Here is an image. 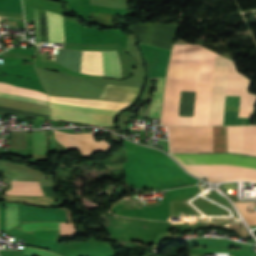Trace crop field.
I'll list each match as a JSON object with an SVG mask.
<instances>
[{
    "label": "crop field",
    "mask_w": 256,
    "mask_h": 256,
    "mask_svg": "<svg viewBox=\"0 0 256 256\" xmlns=\"http://www.w3.org/2000/svg\"><path fill=\"white\" fill-rule=\"evenodd\" d=\"M241 214L247 221L248 225H256V212H249V203L234 202ZM254 204V203H252Z\"/></svg>",
    "instance_id": "obj_13"
},
{
    "label": "crop field",
    "mask_w": 256,
    "mask_h": 256,
    "mask_svg": "<svg viewBox=\"0 0 256 256\" xmlns=\"http://www.w3.org/2000/svg\"><path fill=\"white\" fill-rule=\"evenodd\" d=\"M34 154H45V133L33 132Z\"/></svg>",
    "instance_id": "obj_14"
},
{
    "label": "crop field",
    "mask_w": 256,
    "mask_h": 256,
    "mask_svg": "<svg viewBox=\"0 0 256 256\" xmlns=\"http://www.w3.org/2000/svg\"><path fill=\"white\" fill-rule=\"evenodd\" d=\"M24 253L27 255H31V256H62L57 253L40 250V249H36V248H31V247H27V246H25V248H24Z\"/></svg>",
    "instance_id": "obj_19"
},
{
    "label": "crop field",
    "mask_w": 256,
    "mask_h": 256,
    "mask_svg": "<svg viewBox=\"0 0 256 256\" xmlns=\"http://www.w3.org/2000/svg\"><path fill=\"white\" fill-rule=\"evenodd\" d=\"M183 49H184V45H174L171 59H170L171 62L168 67V76H167L166 84L180 85L181 72H177V71H180L181 63H175L174 70H177V71H173V66H174V62H182ZM198 50H199V45H185L183 62L197 63ZM181 70H182V67H181ZM186 71H187V65L185 68L184 78H186ZM189 71H190V65L188 68L187 78H189ZM192 72H193V65L191 68V75H190L191 79H192ZM195 72H196V65L194 68L193 79H195ZM231 73H235V75H231ZM249 84H250V81L247 78L243 77L241 74H239L236 71L233 62L229 60L226 95H240V106L254 107L256 103V95L247 93ZM173 85H165V90L180 91V86H173ZM192 91H194V85H193ZM179 96H180V92L165 91L163 107L178 108ZM194 99H195V93L181 92L180 104H179V116H193ZM252 110L253 108L240 107L239 117H250L252 114ZM177 112H178V109L163 108L161 124L177 125ZM192 120H193V117H178V125H192Z\"/></svg>",
    "instance_id": "obj_1"
},
{
    "label": "crop field",
    "mask_w": 256,
    "mask_h": 256,
    "mask_svg": "<svg viewBox=\"0 0 256 256\" xmlns=\"http://www.w3.org/2000/svg\"><path fill=\"white\" fill-rule=\"evenodd\" d=\"M11 148L25 149V132H11Z\"/></svg>",
    "instance_id": "obj_16"
},
{
    "label": "crop field",
    "mask_w": 256,
    "mask_h": 256,
    "mask_svg": "<svg viewBox=\"0 0 256 256\" xmlns=\"http://www.w3.org/2000/svg\"><path fill=\"white\" fill-rule=\"evenodd\" d=\"M49 41L63 42L62 15L46 11Z\"/></svg>",
    "instance_id": "obj_9"
},
{
    "label": "crop field",
    "mask_w": 256,
    "mask_h": 256,
    "mask_svg": "<svg viewBox=\"0 0 256 256\" xmlns=\"http://www.w3.org/2000/svg\"><path fill=\"white\" fill-rule=\"evenodd\" d=\"M158 88L157 92L153 93L152 100H151V109H150V116L160 117V108H161V101L163 95V87L165 78H158Z\"/></svg>",
    "instance_id": "obj_12"
},
{
    "label": "crop field",
    "mask_w": 256,
    "mask_h": 256,
    "mask_svg": "<svg viewBox=\"0 0 256 256\" xmlns=\"http://www.w3.org/2000/svg\"><path fill=\"white\" fill-rule=\"evenodd\" d=\"M139 89L140 88L131 87V86L107 84L100 99L132 103ZM51 108L102 114V115H110V116H114V114L118 112L115 110L78 107V106H70V105H62V104H54V103H51ZM78 112L59 111V110L51 109V115L49 118L62 120V121L77 122L81 124L113 126L112 125L113 117L78 113Z\"/></svg>",
    "instance_id": "obj_4"
},
{
    "label": "crop field",
    "mask_w": 256,
    "mask_h": 256,
    "mask_svg": "<svg viewBox=\"0 0 256 256\" xmlns=\"http://www.w3.org/2000/svg\"><path fill=\"white\" fill-rule=\"evenodd\" d=\"M34 15H35V37L36 42L40 41V35H39V25H38V14L37 9L34 8Z\"/></svg>",
    "instance_id": "obj_20"
},
{
    "label": "crop field",
    "mask_w": 256,
    "mask_h": 256,
    "mask_svg": "<svg viewBox=\"0 0 256 256\" xmlns=\"http://www.w3.org/2000/svg\"><path fill=\"white\" fill-rule=\"evenodd\" d=\"M38 14H39L41 41H48L45 11L38 9Z\"/></svg>",
    "instance_id": "obj_18"
},
{
    "label": "crop field",
    "mask_w": 256,
    "mask_h": 256,
    "mask_svg": "<svg viewBox=\"0 0 256 256\" xmlns=\"http://www.w3.org/2000/svg\"><path fill=\"white\" fill-rule=\"evenodd\" d=\"M24 231L38 229H59L58 223H31L21 225Z\"/></svg>",
    "instance_id": "obj_17"
},
{
    "label": "crop field",
    "mask_w": 256,
    "mask_h": 256,
    "mask_svg": "<svg viewBox=\"0 0 256 256\" xmlns=\"http://www.w3.org/2000/svg\"><path fill=\"white\" fill-rule=\"evenodd\" d=\"M96 134H66L60 131H54L55 139L64 147L68 149H77L82 155H90L94 151H102L108 145V142L101 140L97 142L94 138Z\"/></svg>",
    "instance_id": "obj_6"
},
{
    "label": "crop field",
    "mask_w": 256,
    "mask_h": 256,
    "mask_svg": "<svg viewBox=\"0 0 256 256\" xmlns=\"http://www.w3.org/2000/svg\"><path fill=\"white\" fill-rule=\"evenodd\" d=\"M6 201L10 202H26L35 205H50L55 201V198L47 196H7Z\"/></svg>",
    "instance_id": "obj_11"
},
{
    "label": "crop field",
    "mask_w": 256,
    "mask_h": 256,
    "mask_svg": "<svg viewBox=\"0 0 256 256\" xmlns=\"http://www.w3.org/2000/svg\"><path fill=\"white\" fill-rule=\"evenodd\" d=\"M103 76L121 79L120 62L115 51H102Z\"/></svg>",
    "instance_id": "obj_8"
},
{
    "label": "crop field",
    "mask_w": 256,
    "mask_h": 256,
    "mask_svg": "<svg viewBox=\"0 0 256 256\" xmlns=\"http://www.w3.org/2000/svg\"><path fill=\"white\" fill-rule=\"evenodd\" d=\"M177 24H139L130 27L142 44L171 51Z\"/></svg>",
    "instance_id": "obj_5"
},
{
    "label": "crop field",
    "mask_w": 256,
    "mask_h": 256,
    "mask_svg": "<svg viewBox=\"0 0 256 256\" xmlns=\"http://www.w3.org/2000/svg\"><path fill=\"white\" fill-rule=\"evenodd\" d=\"M6 209V230L18 224L17 204L14 203V214H12V203H4Z\"/></svg>",
    "instance_id": "obj_15"
},
{
    "label": "crop field",
    "mask_w": 256,
    "mask_h": 256,
    "mask_svg": "<svg viewBox=\"0 0 256 256\" xmlns=\"http://www.w3.org/2000/svg\"><path fill=\"white\" fill-rule=\"evenodd\" d=\"M174 144L171 153L212 152L211 134H197V127H167ZM213 152H227L225 126L211 127ZM227 142L241 141L240 126H226ZM198 133H210L209 128H198ZM243 154L256 156V126H241ZM173 142V139H171ZM241 147L240 142L228 143ZM228 152L242 153V148H228Z\"/></svg>",
    "instance_id": "obj_2"
},
{
    "label": "crop field",
    "mask_w": 256,
    "mask_h": 256,
    "mask_svg": "<svg viewBox=\"0 0 256 256\" xmlns=\"http://www.w3.org/2000/svg\"><path fill=\"white\" fill-rule=\"evenodd\" d=\"M0 92L48 100L47 95H45L43 93L24 89V88L15 87V86H12V85H9L6 83H0ZM3 93H0L1 97L26 100V101H32V102H36V103H40V104H44V105H49V102L44 101V100L26 98V97L3 94Z\"/></svg>",
    "instance_id": "obj_7"
},
{
    "label": "crop field",
    "mask_w": 256,
    "mask_h": 256,
    "mask_svg": "<svg viewBox=\"0 0 256 256\" xmlns=\"http://www.w3.org/2000/svg\"><path fill=\"white\" fill-rule=\"evenodd\" d=\"M181 164H229L256 168V158L234 154H171ZM229 165H182L195 176L210 182L249 180L256 182V169Z\"/></svg>",
    "instance_id": "obj_3"
},
{
    "label": "crop field",
    "mask_w": 256,
    "mask_h": 256,
    "mask_svg": "<svg viewBox=\"0 0 256 256\" xmlns=\"http://www.w3.org/2000/svg\"><path fill=\"white\" fill-rule=\"evenodd\" d=\"M10 195H44L38 182L12 181Z\"/></svg>",
    "instance_id": "obj_10"
}]
</instances>
